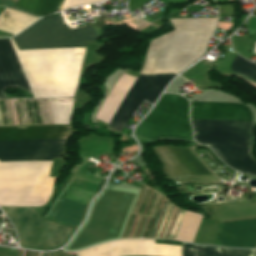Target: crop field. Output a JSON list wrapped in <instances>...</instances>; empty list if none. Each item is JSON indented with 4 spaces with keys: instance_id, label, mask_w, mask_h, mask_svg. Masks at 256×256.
Wrapping results in <instances>:
<instances>
[{
    "instance_id": "dd49c442",
    "label": "crop field",
    "mask_w": 256,
    "mask_h": 256,
    "mask_svg": "<svg viewBox=\"0 0 256 256\" xmlns=\"http://www.w3.org/2000/svg\"><path fill=\"white\" fill-rule=\"evenodd\" d=\"M125 192L107 190L98 200L88 223L68 249H75L106 240ZM135 192H126L108 239L119 236Z\"/></svg>"
},
{
    "instance_id": "34b2d1b8",
    "label": "crop field",
    "mask_w": 256,
    "mask_h": 256,
    "mask_svg": "<svg viewBox=\"0 0 256 256\" xmlns=\"http://www.w3.org/2000/svg\"><path fill=\"white\" fill-rule=\"evenodd\" d=\"M92 194V191L71 182L62 204L83 210L85 203ZM63 205L57 218L77 224L83 211ZM16 209L29 224L36 248L59 246L72 231V229L40 219L34 208ZM16 209L10 207L5 214L16 229L18 241L23 246L35 247L31 231Z\"/></svg>"
},
{
    "instance_id": "8a807250",
    "label": "crop field",
    "mask_w": 256,
    "mask_h": 256,
    "mask_svg": "<svg viewBox=\"0 0 256 256\" xmlns=\"http://www.w3.org/2000/svg\"><path fill=\"white\" fill-rule=\"evenodd\" d=\"M8 40L34 98L73 97L86 48L19 51ZM8 40L0 39V99L8 87L28 91Z\"/></svg>"
},
{
    "instance_id": "5142ce71",
    "label": "crop field",
    "mask_w": 256,
    "mask_h": 256,
    "mask_svg": "<svg viewBox=\"0 0 256 256\" xmlns=\"http://www.w3.org/2000/svg\"><path fill=\"white\" fill-rule=\"evenodd\" d=\"M62 0H19L18 9L37 16H44L55 12Z\"/></svg>"
},
{
    "instance_id": "bc2a9ffb",
    "label": "crop field",
    "mask_w": 256,
    "mask_h": 256,
    "mask_svg": "<svg viewBox=\"0 0 256 256\" xmlns=\"http://www.w3.org/2000/svg\"><path fill=\"white\" fill-rule=\"evenodd\" d=\"M253 54H256V43H254Z\"/></svg>"
},
{
    "instance_id": "e52e79f7",
    "label": "crop field",
    "mask_w": 256,
    "mask_h": 256,
    "mask_svg": "<svg viewBox=\"0 0 256 256\" xmlns=\"http://www.w3.org/2000/svg\"><path fill=\"white\" fill-rule=\"evenodd\" d=\"M19 50L87 47L98 37L92 25L69 30L61 14L41 19L13 38Z\"/></svg>"
},
{
    "instance_id": "cbeb9de0",
    "label": "crop field",
    "mask_w": 256,
    "mask_h": 256,
    "mask_svg": "<svg viewBox=\"0 0 256 256\" xmlns=\"http://www.w3.org/2000/svg\"><path fill=\"white\" fill-rule=\"evenodd\" d=\"M183 256H256V250L229 249L183 243Z\"/></svg>"
},
{
    "instance_id": "733c2abd",
    "label": "crop field",
    "mask_w": 256,
    "mask_h": 256,
    "mask_svg": "<svg viewBox=\"0 0 256 256\" xmlns=\"http://www.w3.org/2000/svg\"><path fill=\"white\" fill-rule=\"evenodd\" d=\"M95 1H101V0H65L63 5L59 9V11L67 9V8H71V7H74V6L95 2Z\"/></svg>"
},
{
    "instance_id": "d8731c3e",
    "label": "crop field",
    "mask_w": 256,
    "mask_h": 256,
    "mask_svg": "<svg viewBox=\"0 0 256 256\" xmlns=\"http://www.w3.org/2000/svg\"><path fill=\"white\" fill-rule=\"evenodd\" d=\"M189 103L180 96L164 94L136 131L144 139H191Z\"/></svg>"
},
{
    "instance_id": "ac0d7876",
    "label": "crop field",
    "mask_w": 256,
    "mask_h": 256,
    "mask_svg": "<svg viewBox=\"0 0 256 256\" xmlns=\"http://www.w3.org/2000/svg\"><path fill=\"white\" fill-rule=\"evenodd\" d=\"M170 20L176 30L152 40L141 73H178L205 53L216 18Z\"/></svg>"
},
{
    "instance_id": "d1516ede",
    "label": "crop field",
    "mask_w": 256,
    "mask_h": 256,
    "mask_svg": "<svg viewBox=\"0 0 256 256\" xmlns=\"http://www.w3.org/2000/svg\"><path fill=\"white\" fill-rule=\"evenodd\" d=\"M220 244L223 247L255 248L256 220L222 224Z\"/></svg>"
},
{
    "instance_id": "d9b57169",
    "label": "crop field",
    "mask_w": 256,
    "mask_h": 256,
    "mask_svg": "<svg viewBox=\"0 0 256 256\" xmlns=\"http://www.w3.org/2000/svg\"><path fill=\"white\" fill-rule=\"evenodd\" d=\"M231 69H233L234 71H237L239 73H242L246 77L256 81V64L249 62V61L241 58L238 55L235 58L232 66H231ZM234 71H232V72L244 77L243 75H241L237 72H234ZM246 77H244V78H246ZM248 78H246V79H248ZM250 79H248V80H250ZM252 80H250V81H252ZM254 81H252V82H254ZM254 83H256V82H254Z\"/></svg>"
},
{
    "instance_id": "22f410ed",
    "label": "crop field",
    "mask_w": 256,
    "mask_h": 256,
    "mask_svg": "<svg viewBox=\"0 0 256 256\" xmlns=\"http://www.w3.org/2000/svg\"><path fill=\"white\" fill-rule=\"evenodd\" d=\"M208 146H210L228 166L237 171L256 175V161L250 155L251 147Z\"/></svg>"
},
{
    "instance_id": "3316defc",
    "label": "crop field",
    "mask_w": 256,
    "mask_h": 256,
    "mask_svg": "<svg viewBox=\"0 0 256 256\" xmlns=\"http://www.w3.org/2000/svg\"><path fill=\"white\" fill-rule=\"evenodd\" d=\"M78 256H181V247L154 240H118L77 252Z\"/></svg>"
},
{
    "instance_id": "4a817a6b",
    "label": "crop field",
    "mask_w": 256,
    "mask_h": 256,
    "mask_svg": "<svg viewBox=\"0 0 256 256\" xmlns=\"http://www.w3.org/2000/svg\"><path fill=\"white\" fill-rule=\"evenodd\" d=\"M17 1L18 0H0V4L15 8Z\"/></svg>"
},
{
    "instance_id": "5a996713",
    "label": "crop field",
    "mask_w": 256,
    "mask_h": 256,
    "mask_svg": "<svg viewBox=\"0 0 256 256\" xmlns=\"http://www.w3.org/2000/svg\"><path fill=\"white\" fill-rule=\"evenodd\" d=\"M173 76H143L139 74L108 125L122 131L125 123L144 101L143 99L153 104Z\"/></svg>"
},
{
    "instance_id": "28ad6ade",
    "label": "crop field",
    "mask_w": 256,
    "mask_h": 256,
    "mask_svg": "<svg viewBox=\"0 0 256 256\" xmlns=\"http://www.w3.org/2000/svg\"><path fill=\"white\" fill-rule=\"evenodd\" d=\"M152 150L163 164L162 172L165 178L188 175H210L184 147L155 146Z\"/></svg>"
},
{
    "instance_id": "412701ff",
    "label": "crop field",
    "mask_w": 256,
    "mask_h": 256,
    "mask_svg": "<svg viewBox=\"0 0 256 256\" xmlns=\"http://www.w3.org/2000/svg\"><path fill=\"white\" fill-rule=\"evenodd\" d=\"M191 119L253 121L247 106L237 103L190 102ZM191 120L202 144L250 146L254 122Z\"/></svg>"
},
{
    "instance_id": "f4fd0767",
    "label": "crop field",
    "mask_w": 256,
    "mask_h": 256,
    "mask_svg": "<svg viewBox=\"0 0 256 256\" xmlns=\"http://www.w3.org/2000/svg\"><path fill=\"white\" fill-rule=\"evenodd\" d=\"M71 126L0 128L1 140L67 139ZM67 140L1 141L0 162L51 160L61 157Z\"/></svg>"
}]
</instances>
